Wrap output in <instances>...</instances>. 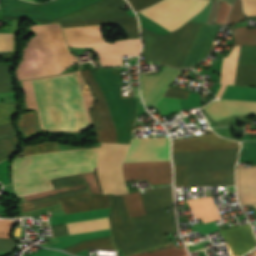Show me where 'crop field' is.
<instances>
[{"instance_id":"crop-field-1","label":"crop field","mask_w":256,"mask_h":256,"mask_svg":"<svg viewBox=\"0 0 256 256\" xmlns=\"http://www.w3.org/2000/svg\"><path fill=\"white\" fill-rule=\"evenodd\" d=\"M72 74L75 81L76 90L72 76H61V77H42L50 79L42 80H25L22 81V86L25 91V96L27 100L28 109L34 108L38 110L39 119L41 123L42 130L45 129H83L86 126H92L88 110L92 104V96L90 92H81V85L84 82L79 75V72L68 73ZM62 74V75H68ZM60 76V75H57ZM44 123H42L33 83ZM88 126V127H90ZM87 127V128H88ZM85 128V129H87ZM83 129V130H85ZM55 131H82V130H55Z\"/></svg>"},{"instance_id":"crop-field-2","label":"crop field","mask_w":256,"mask_h":256,"mask_svg":"<svg viewBox=\"0 0 256 256\" xmlns=\"http://www.w3.org/2000/svg\"><path fill=\"white\" fill-rule=\"evenodd\" d=\"M80 72L96 100L90 113L97 132V142L116 143L117 134V143L129 144L137 98L121 99L119 68L91 70L105 96L116 134L105 99L90 70Z\"/></svg>"},{"instance_id":"crop-field-3","label":"crop field","mask_w":256,"mask_h":256,"mask_svg":"<svg viewBox=\"0 0 256 256\" xmlns=\"http://www.w3.org/2000/svg\"><path fill=\"white\" fill-rule=\"evenodd\" d=\"M100 148H85L16 158L12 165L18 197L53 190L51 179L92 172Z\"/></svg>"},{"instance_id":"crop-field-4","label":"crop field","mask_w":256,"mask_h":256,"mask_svg":"<svg viewBox=\"0 0 256 256\" xmlns=\"http://www.w3.org/2000/svg\"><path fill=\"white\" fill-rule=\"evenodd\" d=\"M201 24L186 23L179 31L160 36L143 27L144 39L142 56L145 60L164 63L180 68ZM220 24H202L181 68L191 67L207 57ZM212 46L211 50L213 49Z\"/></svg>"},{"instance_id":"crop-field-5","label":"crop field","mask_w":256,"mask_h":256,"mask_svg":"<svg viewBox=\"0 0 256 256\" xmlns=\"http://www.w3.org/2000/svg\"><path fill=\"white\" fill-rule=\"evenodd\" d=\"M107 0H54L47 4H33L21 0H3L4 16H28L51 19ZM125 0H110L51 20L36 19L41 24L92 19L127 17L118 6ZM22 17H4V20H21Z\"/></svg>"},{"instance_id":"crop-field-6","label":"crop field","mask_w":256,"mask_h":256,"mask_svg":"<svg viewBox=\"0 0 256 256\" xmlns=\"http://www.w3.org/2000/svg\"><path fill=\"white\" fill-rule=\"evenodd\" d=\"M117 24L127 38H140L136 17L61 23L62 27ZM69 47H93L102 66L123 65L121 55H139L140 39H126L105 43L101 25L62 28Z\"/></svg>"},{"instance_id":"crop-field-7","label":"crop field","mask_w":256,"mask_h":256,"mask_svg":"<svg viewBox=\"0 0 256 256\" xmlns=\"http://www.w3.org/2000/svg\"><path fill=\"white\" fill-rule=\"evenodd\" d=\"M129 145L102 143L97 173L104 194H124L123 160ZM125 180L146 179L150 184L171 183L170 161L124 163Z\"/></svg>"},{"instance_id":"crop-field-8","label":"crop field","mask_w":256,"mask_h":256,"mask_svg":"<svg viewBox=\"0 0 256 256\" xmlns=\"http://www.w3.org/2000/svg\"><path fill=\"white\" fill-rule=\"evenodd\" d=\"M30 28L37 34L32 41L44 76L61 73L78 62L67 49L59 24ZM32 41L24 49V56L17 70L19 80L43 76Z\"/></svg>"},{"instance_id":"crop-field-9","label":"crop field","mask_w":256,"mask_h":256,"mask_svg":"<svg viewBox=\"0 0 256 256\" xmlns=\"http://www.w3.org/2000/svg\"><path fill=\"white\" fill-rule=\"evenodd\" d=\"M131 221L134 229L119 230L124 256L173 243L161 236L176 232L173 212L135 217L131 218ZM186 254L184 247L176 249L172 244L132 256H182Z\"/></svg>"},{"instance_id":"crop-field-10","label":"crop field","mask_w":256,"mask_h":256,"mask_svg":"<svg viewBox=\"0 0 256 256\" xmlns=\"http://www.w3.org/2000/svg\"><path fill=\"white\" fill-rule=\"evenodd\" d=\"M239 148L172 153L176 165H187V186L234 185V166Z\"/></svg>"},{"instance_id":"crop-field-11","label":"crop field","mask_w":256,"mask_h":256,"mask_svg":"<svg viewBox=\"0 0 256 256\" xmlns=\"http://www.w3.org/2000/svg\"><path fill=\"white\" fill-rule=\"evenodd\" d=\"M207 1L163 0L138 13L171 32L200 14L209 4ZM230 6L225 1L214 0L206 21L224 22Z\"/></svg>"},{"instance_id":"crop-field-12","label":"crop field","mask_w":256,"mask_h":256,"mask_svg":"<svg viewBox=\"0 0 256 256\" xmlns=\"http://www.w3.org/2000/svg\"><path fill=\"white\" fill-rule=\"evenodd\" d=\"M170 160L168 137L131 139L124 162Z\"/></svg>"},{"instance_id":"crop-field-13","label":"crop field","mask_w":256,"mask_h":256,"mask_svg":"<svg viewBox=\"0 0 256 256\" xmlns=\"http://www.w3.org/2000/svg\"><path fill=\"white\" fill-rule=\"evenodd\" d=\"M180 72L181 70L165 66L160 75L140 76V89L145 105H155Z\"/></svg>"},{"instance_id":"crop-field-14","label":"crop field","mask_w":256,"mask_h":256,"mask_svg":"<svg viewBox=\"0 0 256 256\" xmlns=\"http://www.w3.org/2000/svg\"><path fill=\"white\" fill-rule=\"evenodd\" d=\"M215 120H221L234 114H256V102L214 99L203 108Z\"/></svg>"},{"instance_id":"crop-field-15","label":"crop field","mask_w":256,"mask_h":256,"mask_svg":"<svg viewBox=\"0 0 256 256\" xmlns=\"http://www.w3.org/2000/svg\"><path fill=\"white\" fill-rule=\"evenodd\" d=\"M172 152L238 147V143L217 137L214 133L174 140Z\"/></svg>"},{"instance_id":"crop-field-16","label":"crop field","mask_w":256,"mask_h":256,"mask_svg":"<svg viewBox=\"0 0 256 256\" xmlns=\"http://www.w3.org/2000/svg\"><path fill=\"white\" fill-rule=\"evenodd\" d=\"M58 200L66 214L110 207V195L91 196L90 192Z\"/></svg>"},{"instance_id":"crop-field-17","label":"crop field","mask_w":256,"mask_h":256,"mask_svg":"<svg viewBox=\"0 0 256 256\" xmlns=\"http://www.w3.org/2000/svg\"><path fill=\"white\" fill-rule=\"evenodd\" d=\"M250 250L256 247V238L249 224L239 226ZM239 227L228 228L220 230L221 235L227 242L232 256H242L249 252V248L244 240V237Z\"/></svg>"},{"instance_id":"crop-field-18","label":"crop field","mask_w":256,"mask_h":256,"mask_svg":"<svg viewBox=\"0 0 256 256\" xmlns=\"http://www.w3.org/2000/svg\"><path fill=\"white\" fill-rule=\"evenodd\" d=\"M236 182L241 205L256 204V167L236 168Z\"/></svg>"},{"instance_id":"crop-field-19","label":"crop field","mask_w":256,"mask_h":256,"mask_svg":"<svg viewBox=\"0 0 256 256\" xmlns=\"http://www.w3.org/2000/svg\"><path fill=\"white\" fill-rule=\"evenodd\" d=\"M110 225L116 249L122 248L118 229L133 228L129 219L123 195L112 196V208L110 211Z\"/></svg>"},{"instance_id":"crop-field-20","label":"crop field","mask_w":256,"mask_h":256,"mask_svg":"<svg viewBox=\"0 0 256 256\" xmlns=\"http://www.w3.org/2000/svg\"><path fill=\"white\" fill-rule=\"evenodd\" d=\"M235 45H256V29H234ZM238 63H256V46H241Z\"/></svg>"},{"instance_id":"crop-field-21","label":"crop field","mask_w":256,"mask_h":256,"mask_svg":"<svg viewBox=\"0 0 256 256\" xmlns=\"http://www.w3.org/2000/svg\"><path fill=\"white\" fill-rule=\"evenodd\" d=\"M141 194L147 215L166 212L165 205L173 204L171 186L145 190Z\"/></svg>"},{"instance_id":"crop-field-22","label":"crop field","mask_w":256,"mask_h":256,"mask_svg":"<svg viewBox=\"0 0 256 256\" xmlns=\"http://www.w3.org/2000/svg\"><path fill=\"white\" fill-rule=\"evenodd\" d=\"M196 218L204 223L220 219L211 197L187 200Z\"/></svg>"},{"instance_id":"crop-field-23","label":"crop field","mask_w":256,"mask_h":256,"mask_svg":"<svg viewBox=\"0 0 256 256\" xmlns=\"http://www.w3.org/2000/svg\"><path fill=\"white\" fill-rule=\"evenodd\" d=\"M240 46H235L227 58L224 57L221 70V82L223 83L216 96L220 98L227 84L233 85Z\"/></svg>"},{"instance_id":"crop-field-24","label":"crop field","mask_w":256,"mask_h":256,"mask_svg":"<svg viewBox=\"0 0 256 256\" xmlns=\"http://www.w3.org/2000/svg\"><path fill=\"white\" fill-rule=\"evenodd\" d=\"M87 191H89L88 188H85V189L71 191V192L62 193V194H58V195H53V196H49V197H45V198H41V199L29 201V202L18 203L17 206H18L20 212L23 213V212H27V211H31V210H36V209H40V208H44V207L57 205V204H59L57 198L68 196V195H73V194H78V193H82V192H87Z\"/></svg>"},{"instance_id":"crop-field-25","label":"crop field","mask_w":256,"mask_h":256,"mask_svg":"<svg viewBox=\"0 0 256 256\" xmlns=\"http://www.w3.org/2000/svg\"><path fill=\"white\" fill-rule=\"evenodd\" d=\"M17 126L25 138L32 134L42 132L37 111L20 114Z\"/></svg>"},{"instance_id":"crop-field-26","label":"crop field","mask_w":256,"mask_h":256,"mask_svg":"<svg viewBox=\"0 0 256 256\" xmlns=\"http://www.w3.org/2000/svg\"><path fill=\"white\" fill-rule=\"evenodd\" d=\"M70 234L109 228L108 217L66 224Z\"/></svg>"},{"instance_id":"crop-field-27","label":"crop field","mask_w":256,"mask_h":256,"mask_svg":"<svg viewBox=\"0 0 256 256\" xmlns=\"http://www.w3.org/2000/svg\"><path fill=\"white\" fill-rule=\"evenodd\" d=\"M109 235H111L110 229L91 232V233H85V234H79V235H73V236H67V237H60V238H57L59 242L51 244L47 247L63 249L65 247L76 244L83 240L109 236Z\"/></svg>"},{"instance_id":"crop-field-28","label":"crop field","mask_w":256,"mask_h":256,"mask_svg":"<svg viewBox=\"0 0 256 256\" xmlns=\"http://www.w3.org/2000/svg\"><path fill=\"white\" fill-rule=\"evenodd\" d=\"M87 248L115 250V247L112 244L111 236L83 241L81 243H78V244L73 245L71 247L65 248L63 250L68 251L72 254H75V253H78V252H80L82 250H85Z\"/></svg>"},{"instance_id":"crop-field-29","label":"crop field","mask_w":256,"mask_h":256,"mask_svg":"<svg viewBox=\"0 0 256 256\" xmlns=\"http://www.w3.org/2000/svg\"><path fill=\"white\" fill-rule=\"evenodd\" d=\"M234 85L256 86V64H238Z\"/></svg>"},{"instance_id":"crop-field-30","label":"crop field","mask_w":256,"mask_h":256,"mask_svg":"<svg viewBox=\"0 0 256 256\" xmlns=\"http://www.w3.org/2000/svg\"><path fill=\"white\" fill-rule=\"evenodd\" d=\"M109 209L110 208L103 209V210H97V211H91V212H82V213H77V214L53 217L50 220V224L54 225V224H60V223H67V222H73V221L105 217V216H108Z\"/></svg>"},{"instance_id":"crop-field-31","label":"crop field","mask_w":256,"mask_h":256,"mask_svg":"<svg viewBox=\"0 0 256 256\" xmlns=\"http://www.w3.org/2000/svg\"><path fill=\"white\" fill-rule=\"evenodd\" d=\"M223 98L256 101V88L228 86Z\"/></svg>"},{"instance_id":"crop-field-32","label":"crop field","mask_w":256,"mask_h":256,"mask_svg":"<svg viewBox=\"0 0 256 256\" xmlns=\"http://www.w3.org/2000/svg\"><path fill=\"white\" fill-rule=\"evenodd\" d=\"M124 197L130 217L146 214L139 191L124 195Z\"/></svg>"},{"instance_id":"crop-field-33","label":"crop field","mask_w":256,"mask_h":256,"mask_svg":"<svg viewBox=\"0 0 256 256\" xmlns=\"http://www.w3.org/2000/svg\"><path fill=\"white\" fill-rule=\"evenodd\" d=\"M19 146L15 136L0 138V161L13 156Z\"/></svg>"},{"instance_id":"crop-field-34","label":"crop field","mask_w":256,"mask_h":256,"mask_svg":"<svg viewBox=\"0 0 256 256\" xmlns=\"http://www.w3.org/2000/svg\"><path fill=\"white\" fill-rule=\"evenodd\" d=\"M238 162L256 163V142H242Z\"/></svg>"},{"instance_id":"crop-field-35","label":"crop field","mask_w":256,"mask_h":256,"mask_svg":"<svg viewBox=\"0 0 256 256\" xmlns=\"http://www.w3.org/2000/svg\"><path fill=\"white\" fill-rule=\"evenodd\" d=\"M56 151H60L58 142H46L34 146L25 147L23 156Z\"/></svg>"},{"instance_id":"crop-field-36","label":"crop field","mask_w":256,"mask_h":256,"mask_svg":"<svg viewBox=\"0 0 256 256\" xmlns=\"http://www.w3.org/2000/svg\"><path fill=\"white\" fill-rule=\"evenodd\" d=\"M13 64L0 65V93L14 92L9 69Z\"/></svg>"},{"instance_id":"crop-field-37","label":"crop field","mask_w":256,"mask_h":256,"mask_svg":"<svg viewBox=\"0 0 256 256\" xmlns=\"http://www.w3.org/2000/svg\"><path fill=\"white\" fill-rule=\"evenodd\" d=\"M179 100L180 99L162 97L156 105L163 114V116H165L171 112L180 109Z\"/></svg>"},{"instance_id":"crop-field-38","label":"crop field","mask_w":256,"mask_h":256,"mask_svg":"<svg viewBox=\"0 0 256 256\" xmlns=\"http://www.w3.org/2000/svg\"><path fill=\"white\" fill-rule=\"evenodd\" d=\"M16 112L17 104L0 103V124L12 122V115Z\"/></svg>"},{"instance_id":"crop-field-39","label":"crop field","mask_w":256,"mask_h":256,"mask_svg":"<svg viewBox=\"0 0 256 256\" xmlns=\"http://www.w3.org/2000/svg\"><path fill=\"white\" fill-rule=\"evenodd\" d=\"M85 178L84 175H77V176H71V177H65V178H60V179H55L53 180V185L55 189L62 188V187H67L75 184H80L84 183Z\"/></svg>"},{"instance_id":"crop-field-40","label":"crop field","mask_w":256,"mask_h":256,"mask_svg":"<svg viewBox=\"0 0 256 256\" xmlns=\"http://www.w3.org/2000/svg\"><path fill=\"white\" fill-rule=\"evenodd\" d=\"M85 187H87L86 184H83V185H78V186H73V187L53 190V191H49V192H44V193H40V194L30 195V196H26L24 198H25L26 201H28V200H33V199L41 198V197H44V196L56 194V193H61V192H65V191H69V190H74V189L85 188Z\"/></svg>"},{"instance_id":"crop-field-41","label":"crop field","mask_w":256,"mask_h":256,"mask_svg":"<svg viewBox=\"0 0 256 256\" xmlns=\"http://www.w3.org/2000/svg\"><path fill=\"white\" fill-rule=\"evenodd\" d=\"M175 168V185L186 186V166H174Z\"/></svg>"},{"instance_id":"crop-field-42","label":"crop field","mask_w":256,"mask_h":256,"mask_svg":"<svg viewBox=\"0 0 256 256\" xmlns=\"http://www.w3.org/2000/svg\"><path fill=\"white\" fill-rule=\"evenodd\" d=\"M244 15L242 12V4H241V0H238L229 19V23H236L239 21L244 20Z\"/></svg>"},{"instance_id":"crop-field-43","label":"crop field","mask_w":256,"mask_h":256,"mask_svg":"<svg viewBox=\"0 0 256 256\" xmlns=\"http://www.w3.org/2000/svg\"><path fill=\"white\" fill-rule=\"evenodd\" d=\"M14 34L1 33L0 50H13Z\"/></svg>"},{"instance_id":"crop-field-44","label":"crop field","mask_w":256,"mask_h":256,"mask_svg":"<svg viewBox=\"0 0 256 256\" xmlns=\"http://www.w3.org/2000/svg\"><path fill=\"white\" fill-rule=\"evenodd\" d=\"M84 175H85L86 181L89 185V188H90L92 194L93 195L102 194L100 189H99L96 177H95V172L86 173Z\"/></svg>"},{"instance_id":"crop-field-45","label":"crop field","mask_w":256,"mask_h":256,"mask_svg":"<svg viewBox=\"0 0 256 256\" xmlns=\"http://www.w3.org/2000/svg\"><path fill=\"white\" fill-rule=\"evenodd\" d=\"M135 11L149 7L160 0H129Z\"/></svg>"},{"instance_id":"crop-field-46","label":"crop field","mask_w":256,"mask_h":256,"mask_svg":"<svg viewBox=\"0 0 256 256\" xmlns=\"http://www.w3.org/2000/svg\"><path fill=\"white\" fill-rule=\"evenodd\" d=\"M15 222L12 220H0V237L9 238L8 234Z\"/></svg>"},{"instance_id":"crop-field-47","label":"crop field","mask_w":256,"mask_h":256,"mask_svg":"<svg viewBox=\"0 0 256 256\" xmlns=\"http://www.w3.org/2000/svg\"><path fill=\"white\" fill-rule=\"evenodd\" d=\"M23 256H27L23 254ZM28 256H70L68 254L62 253L57 250H47V249H41L33 254H30Z\"/></svg>"},{"instance_id":"crop-field-48","label":"crop field","mask_w":256,"mask_h":256,"mask_svg":"<svg viewBox=\"0 0 256 256\" xmlns=\"http://www.w3.org/2000/svg\"><path fill=\"white\" fill-rule=\"evenodd\" d=\"M243 8L248 16L256 15V0H243Z\"/></svg>"},{"instance_id":"crop-field-49","label":"crop field","mask_w":256,"mask_h":256,"mask_svg":"<svg viewBox=\"0 0 256 256\" xmlns=\"http://www.w3.org/2000/svg\"><path fill=\"white\" fill-rule=\"evenodd\" d=\"M16 248V243L12 239L0 238V251L12 252Z\"/></svg>"},{"instance_id":"crop-field-50","label":"crop field","mask_w":256,"mask_h":256,"mask_svg":"<svg viewBox=\"0 0 256 256\" xmlns=\"http://www.w3.org/2000/svg\"><path fill=\"white\" fill-rule=\"evenodd\" d=\"M189 92L187 91H183V90H179V89H175V88H171L169 87V89L167 90V92L164 94V96L167 97H176V98H187Z\"/></svg>"},{"instance_id":"crop-field-51","label":"crop field","mask_w":256,"mask_h":256,"mask_svg":"<svg viewBox=\"0 0 256 256\" xmlns=\"http://www.w3.org/2000/svg\"><path fill=\"white\" fill-rule=\"evenodd\" d=\"M0 181L6 185L9 184L8 180V160L0 163Z\"/></svg>"},{"instance_id":"crop-field-52","label":"crop field","mask_w":256,"mask_h":256,"mask_svg":"<svg viewBox=\"0 0 256 256\" xmlns=\"http://www.w3.org/2000/svg\"><path fill=\"white\" fill-rule=\"evenodd\" d=\"M8 135H17L12 126V123L0 125V137Z\"/></svg>"},{"instance_id":"crop-field-53","label":"crop field","mask_w":256,"mask_h":256,"mask_svg":"<svg viewBox=\"0 0 256 256\" xmlns=\"http://www.w3.org/2000/svg\"><path fill=\"white\" fill-rule=\"evenodd\" d=\"M51 228L53 231V237L69 234L65 224L54 225V226H51Z\"/></svg>"},{"instance_id":"crop-field-54","label":"crop field","mask_w":256,"mask_h":256,"mask_svg":"<svg viewBox=\"0 0 256 256\" xmlns=\"http://www.w3.org/2000/svg\"><path fill=\"white\" fill-rule=\"evenodd\" d=\"M133 89H134L135 97H139V95H138V87H133Z\"/></svg>"},{"instance_id":"crop-field-55","label":"crop field","mask_w":256,"mask_h":256,"mask_svg":"<svg viewBox=\"0 0 256 256\" xmlns=\"http://www.w3.org/2000/svg\"><path fill=\"white\" fill-rule=\"evenodd\" d=\"M87 251H88V250L83 251V252H80V253H78L77 255H83V256H86V255H87Z\"/></svg>"},{"instance_id":"crop-field-56","label":"crop field","mask_w":256,"mask_h":256,"mask_svg":"<svg viewBox=\"0 0 256 256\" xmlns=\"http://www.w3.org/2000/svg\"><path fill=\"white\" fill-rule=\"evenodd\" d=\"M235 192L234 190L227 191V193Z\"/></svg>"},{"instance_id":"crop-field-57","label":"crop field","mask_w":256,"mask_h":256,"mask_svg":"<svg viewBox=\"0 0 256 256\" xmlns=\"http://www.w3.org/2000/svg\"><path fill=\"white\" fill-rule=\"evenodd\" d=\"M253 256H256V251L252 252Z\"/></svg>"},{"instance_id":"crop-field-58","label":"crop field","mask_w":256,"mask_h":256,"mask_svg":"<svg viewBox=\"0 0 256 256\" xmlns=\"http://www.w3.org/2000/svg\"><path fill=\"white\" fill-rule=\"evenodd\" d=\"M29 1H32V2H34L33 0H29Z\"/></svg>"},{"instance_id":"crop-field-59","label":"crop field","mask_w":256,"mask_h":256,"mask_svg":"<svg viewBox=\"0 0 256 256\" xmlns=\"http://www.w3.org/2000/svg\"><path fill=\"white\" fill-rule=\"evenodd\" d=\"M255 208H256V206H255Z\"/></svg>"}]
</instances>
